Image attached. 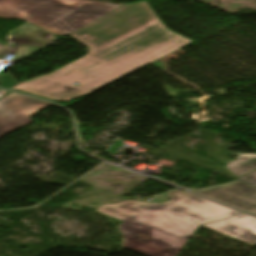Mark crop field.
<instances>
[{"instance_id":"28ad6ade","label":"crop field","mask_w":256,"mask_h":256,"mask_svg":"<svg viewBox=\"0 0 256 256\" xmlns=\"http://www.w3.org/2000/svg\"><path fill=\"white\" fill-rule=\"evenodd\" d=\"M4 47H5V46H3V45L0 44V50H1L2 48H4Z\"/></svg>"},{"instance_id":"ac0d7876","label":"crop field","mask_w":256,"mask_h":256,"mask_svg":"<svg viewBox=\"0 0 256 256\" xmlns=\"http://www.w3.org/2000/svg\"><path fill=\"white\" fill-rule=\"evenodd\" d=\"M162 204L124 201L100 206L98 212L123 220L122 246L145 256H175L199 224L240 213L190 193H167Z\"/></svg>"},{"instance_id":"d8731c3e","label":"crop field","mask_w":256,"mask_h":256,"mask_svg":"<svg viewBox=\"0 0 256 256\" xmlns=\"http://www.w3.org/2000/svg\"><path fill=\"white\" fill-rule=\"evenodd\" d=\"M17 84V82L12 78L11 74L0 75V86L1 87H11Z\"/></svg>"},{"instance_id":"34b2d1b8","label":"crop field","mask_w":256,"mask_h":256,"mask_svg":"<svg viewBox=\"0 0 256 256\" xmlns=\"http://www.w3.org/2000/svg\"><path fill=\"white\" fill-rule=\"evenodd\" d=\"M121 6L89 0H0V17L66 35Z\"/></svg>"},{"instance_id":"5a996713","label":"crop field","mask_w":256,"mask_h":256,"mask_svg":"<svg viewBox=\"0 0 256 256\" xmlns=\"http://www.w3.org/2000/svg\"><path fill=\"white\" fill-rule=\"evenodd\" d=\"M239 180L256 186V171L239 178Z\"/></svg>"},{"instance_id":"8a807250","label":"crop field","mask_w":256,"mask_h":256,"mask_svg":"<svg viewBox=\"0 0 256 256\" xmlns=\"http://www.w3.org/2000/svg\"><path fill=\"white\" fill-rule=\"evenodd\" d=\"M68 36L88 47V54L10 90L70 102L192 42L170 31L147 1L123 6Z\"/></svg>"},{"instance_id":"e52e79f7","label":"crop field","mask_w":256,"mask_h":256,"mask_svg":"<svg viewBox=\"0 0 256 256\" xmlns=\"http://www.w3.org/2000/svg\"><path fill=\"white\" fill-rule=\"evenodd\" d=\"M226 168L237 177L256 170V154H239Z\"/></svg>"},{"instance_id":"dd49c442","label":"crop field","mask_w":256,"mask_h":256,"mask_svg":"<svg viewBox=\"0 0 256 256\" xmlns=\"http://www.w3.org/2000/svg\"><path fill=\"white\" fill-rule=\"evenodd\" d=\"M203 226L251 244L256 243V218L245 214Z\"/></svg>"},{"instance_id":"412701ff","label":"crop field","mask_w":256,"mask_h":256,"mask_svg":"<svg viewBox=\"0 0 256 256\" xmlns=\"http://www.w3.org/2000/svg\"><path fill=\"white\" fill-rule=\"evenodd\" d=\"M49 105L14 92L0 99V138L33 122L30 117Z\"/></svg>"},{"instance_id":"3316defc","label":"crop field","mask_w":256,"mask_h":256,"mask_svg":"<svg viewBox=\"0 0 256 256\" xmlns=\"http://www.w3.org/2000/svg\"><path fill=\"white\" fill-rule=\"evenodd\" d=\"M7 92L0 90V97L5 95Z\"/></svg>"},{"instance_id":"f4fd0767","label":"crop field","mask_w":256,"mask_h":256,"mask_svg":"<svg viewBox=\"0 0 256 256\" xmlns=\"http://www.w3.org/2000/svg\"><path fill=\"white\" fill-rule=\"evenodd\" d=\"M192 192L256 215V187L239 180Z\"/></svg>"}]
</instances>
